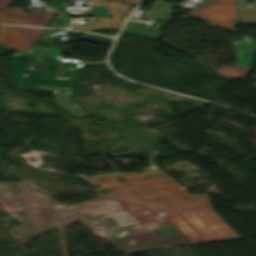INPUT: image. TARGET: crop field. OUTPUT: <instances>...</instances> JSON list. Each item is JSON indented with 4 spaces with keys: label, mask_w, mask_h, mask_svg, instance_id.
<instances>
[{
    "label": "crop field",
    "mask_w": 256,
    "mask_h": 256,
    "mask_svg": "<svg viewBox=\"0 0 256 256\" xmlns=\"http://www.w3.org/2000/svg\"><path fill=\"white\" fill-rule=\"evenodd\" d=\"M79 214L112 217L118 227L112 229L115 245L127 254L188 239L160 212L107 199L73 207Z\"/></svg>",
    "instance_id": "1"
},
{
    "label": "crop field",
    "mask_w": 256,
    "mask_h": 256,
    "mask_svg": "<svg viewBox=\"0 0 256 256\" xmlns=\"http://www.w3.org/2000/svg\"><path fill=\"white\" fill-rule=\"evenodd\" d=\"M14 69L17 72L18 87L54 91V101L77 118L88 116L81 111L70 98L72 76L77 70V61H66L57 57L20 53L12 54ZM75 67L74 69H70ZM26 76H21V74ZM57 76L63 78L58 79Z\"/></svg>",
    "instance_id": "2"
},
{
    "label": "crop field",
    "mask_w": 256,
    "mask_h": 256,
    "mask_svg": "<svg viewBox=\"0 0 256 256\" xmlns=\"http://www.w3.org/2000/svg\"><path fill=\"white\" fill-rule=\"evenodd\" d=\"M115 177L124 179L143 198L164 201L171 204L176 210L211 206L207 195L190 196L157 169L127 176L115 175Z\"/></svg>",
    "instance_id": "3"
},
{
    "label": "crop field",
    "mask_w": 256,
    "mask_h": 256,
    "mask_svg": "<svg viewBox=\"0 0 256 256\" xmlns=\"http://www.w3.org/2000/svg\"><path fill=\"white\" fill-rule=\"evenodd\" d=\"M163 214L192 242L240 239L211 207Z\"/></svg>",
    "instance_id": "4"
},
{
    "label": "crop field",
    "mask_w": 256,
    "mask_h": 256,
    "mask_svg": "<svg viewBox=\"0 0 256 256\" xmlns=\"http://www.w3.org/2000/svg\"><path fill=\"white\" fill-rule=\"evenodd\" d=\"M94 186L100 188H110L114 193L106 194L108 198L118 201L134 204L137 206L157 210V211H170L175 210L171 205L163 203L158 200L149 201L143 199L139 194L134 192L126 182H118L117 178L112 176H102L96 178H87ZM153 205V207H149Z\"/></svg>",
    "instance_id": "5"
},
{
    "label": "crop field",
    "mask_w": 256,
    "mask_h": 256,
    "mask_svg": "<svg viewBox=\"0 0 256 256\" xmlns=\"http://www.w3.org/2000/svg\"><path fill=\"white\" fill-rule=\"evenodd\" d=\"M208 3L209 5H202L197 10L188 11V14L204 19L210 27L235 29V19H239L237 0H208Z\"/></svg>",
    "instance_id": "6"
},
{
    "label": "crop field",
    "mask_w": 256,
    "mask_h": 256,
    "mask_svg": "<svg viewBox=\"0 0 256 256\" xmlns=\"http://www.w3.org/2000/svg\"><path fill=\"white\" fill-rule=\"evenodd\" d=\"M44 29L0 26V44L15 52H27Z\"/></svg>",
    "instance_id": "7"
},
{
    "label": "crop field",
    "mask_w": 256,
    "mask_h": 256,
    "mask_svg": "<svg viewBox=\"0 0 256 256\" xmlns=\"http://www.w3.org/2000/svg\"><path fill=\"white\" fill-rule=\"evenodd\" d=\"M24 9H8L0 11V23L47 26L55 15L64 16L62 11H38L24 14ZM36 11V13H34Z\"/></svg>",
    "instance_id": "8"
},
{
    "label": "crop field",
    "mask_w": 256,
    "mask_h": 256,
    "mask_svg": "<svg viewBox=\"0 0 256 256\" xmlns=\"http://www.w3.org/2000/svg\"><path fill=\"white\" fill-rule=\"evenodd\" d=\"M245 1L246 0H238L240 20H236V24H256V3H247Z\"/></svg>",
    "instance_id": "9"
},
{
    "label": "crop field",
    "mask_w": 256,
    "mask_h": 256,
    "mask_svg": "<svg viewBox=\"0 0 256 256\" xmlns=\"http://www.w3.org/2000/svg\"><path fill=\"white\" fill-rule=\"evenodd\" d=\"M162 1L156 0L144 16L170 22L172 17L170 6Z\"/></svg>",
    "instance_id": "10"
},
{
    "label": "crop field",
    "mask_w": 256,
    "mask_h": 256,
    "mask_svg": "<svg viewBox=\"0 0 256 256\" xmlns=\"http://www.w3.org/2000/svg\"><path fill=\"white\" fill-rule=\"evenodd\" d=\"M138 24L139 22L133 23L127 21L122 32L158 39L161 33L160 31L137 29Z\"/></svg>",
    "instance_id": "11"
},
{
    "label": "crop field",
    "mask_w": 256,
    "mask_h": 256,
    "mask_svg": "<svg viewBox=\"0 0 256 256\" xmlns=\"http://www.w3.org/2000/svg\"><path fill=\"white\" fill-rule=\"evenodd\" d=\"M78 40H83V41H88V42H93V43H101V44H111L112 43L111 38L95 36V35H91V34H87V33H84L82 36H80L78 38Z\"/></svg>",
    "instance_id": "12"
},
{
    "label": "crop field",
    "mask_w": 256,
    "mask_h": 256,
    "mask_svg": "<svg viewBox=\"0 0 256 256\" xmlns=\"http://www.w3.org/2000/svg\"><path fill=\"white\" fill-rule=\"evenodd\" d=\"M64 2L62 0H52V9H62Z\"/></svg>",
    "instance_id": "13"
},
{
    "label": "crop field",
    "mask_w": 256,
    "mask_h": 256,
    "mask_svg": "<svg viewBox=\"0 0 256 256\" xmlns=\"http://www.w3.org/2000/svg\"><path fill=\"white\" fill-rule=\"evenodd\" d=\"M10 4H11V0H0V9L9 7Z\"/></svg>",
    "instance_id": "14"
},
{
    "label": "crop field",
    "mask_w": 256,
    "mask_h": 256,
    "mask_svg": "<svg viewBox=\"0 0 256 256\" xmlns=\"http://www.w3.org/2000/svg\"><path fill=\"white\" fill-rule=\"evenodd\" d=\"M114 1L124 2L128 4H133V5H136L137 3H139V1H136V0H114Z\"/></svg>",
    "instance_id": "15"
},
{
    "label": "crop field",
    "mask_w": 256,
    "mask_h": 256,
    "mask_svg": "<svg viewBox=\"0 0 256 256\" xmlns=\"http://www.w3.org/2000/svg\"><path fill=\"white\" fill-rule=\"evenodd\" d=\"M9 48L0 45V55L9 54Z\"/></svg>",
    "instance_id": "16"
}]
</instances>
